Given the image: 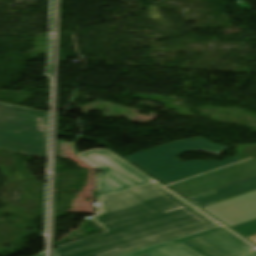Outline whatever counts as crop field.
Here are the masks:
<instances>
[{
    "mask_svg": "<svg viewBox=\"0 0 256 256\" xmlns=\"http://www.w3.org/2000/svg\"><path fill=\"white\" fill-rule=\"evenodd\" d=\"M227 147L213 144L202 138L176 142L143 152L124 156L152 176L167 184L201 172H205L226 164L239 161L230 158L217 161H187L181 162L176 158L184 152L203 151L218 155Z\"/></svg>",
    "mask_w": 256,
    "mask_h": 256,
    "instance_id": "2",
    "label": "crop field"
},
{
    "mask_svg": "<svg viewBox=\"0 0 256 256\" xmlns=\"http://www.w3.org/2000/svg\"><path fill=\"white\" fill-rule=\"evenodd\" d=\"M256 158V157H255Z\"/></svg>",
    "mask_w": 256,
    "mask_h": 256,
    "instance_id": "13",
    "label": "crop field"
},
{
    "mask_svg": "<svg viewBox=\"0 0 256 256\" xmlns=\"http://www.w3.org/2000/svg\"><path fill=\"white\" fill-rule=\"evenodd\" d=\"M213 256L211 253L188 239L179 237L119 256Z\"/></svg>",
    "mask_w": 256,
    "mask_h": 256,
    "instance_id": "7",
    "label": "crop field"
},
{
    "mask_svg": "<svg viewBox=\"0 0 256 256\" xmlns=\"http://www.w3.org/2000/svg\"><path fill=\"white\" fill-rule=\"evenodd\" d=\"M256 175V159H249L231 166L215 170L199 177L169 186L187 198L192 195Z\"/></svg>",
    "mask_w": 256,
    "mask_h": 256,
    "instance_id": "4",
    "label": "crop field"
},
{
    "mask_svg": "<svg viewBox=\"0 0 256 256\" xmlns=\"http://www.w3.org/2000/svg\"><path fill=\"white\" fill-rule=\"evenodd\" d=\"M201 209L229 227L256 219V190Z\"/></svg>",
    "mask_w": 256,
    "mask_h": 256,
    "instance_id": "6",
    "label": "crop field"
},
{
    "mask_svg": "<svg viewBox=\"0 0 256 256\" xmlns=\"http://www.w3.org/2000/svg\"><path fill=\"white\" fill-rule=\"evenodd\" d=\"M186 236L215 256H256L255 248L221 226Z\"/></svg>",
    "mask_w": 256,
    "mask_h": 256,
    "instance_id": "5",
    "label": "crop field"
},
{
    "mask_svg": "<svg viewBox=\"0 0 256 256\" xmlns=\"http://www.w3.org/2000/svg\"><path fill=\"white\" fill-rule=\"evenodd\" d=\"M78 156L102 172L93 221L106 232L59 246L54 256H112L218 225L108 150Z\"/></svg>",
    "mask_w": 256,
    "mask_h": 256,
    "instance_id": "1",
    "label": "crop field"
},
{
    "mask_svg": "<svg viewBox=\"0 0 256 256\" xmlns=\"http://www.w3.org/2000/svg\"><path fill=\"white\" fill-rule=\"evenodd\" d=\"M35 256H45V252H41V253H39V254H37Z\"/></svg>",
    "mask_w": 256,
    "mask_h": 256,
    "instance_id": "12",
    "label": "crop field"
},
{
    "mask_svg": "<svg viewBox=\"0 0 256 256\" xmlns=\"http://www.w3.org/2000/svg\"><path fill=\"white\" fill-rule=\"evenodd\" d=\"M47 113L0 103V148L47 158Z\"/></svg>",
    "mask_w": 256,
    "mask_h": 256,
    "instance_id": "3",
    "label": "crop field"
},
{
    "mask_svg": "<svg viewBox=\"0 0 256 256\" xmlns=\"http://www.w3.org/2000/svg\"><path fill=\"white\" fill-rule=\"evenodd\" d=\"M256 155V144L236 147V156L240 159H247Z\"/></svg>",
    "mask_w": 256,
    "mask_h": 256,
    "instance_id": "10",
    "label": "crop field"
},
{
    "mask_svg": "<svg viewBox=\"0 0 256 256\" xmlns=\"http://www.w3.org/2000/svg\"><path fill=\"white\" fill-rule=\"evenodd\" d=\"M256 189V176L234 182L195 196L187 198L189 201L202 207L233 196H237Z\"/></svg>",
    "mask_w": 256,
    "mask_h": 256,
    "instance_id": "8",
    "label": "crop field"
},
{
    "mask_svg": "<svg viewBox=\"0 0 256 256\" xmlns=\"http://www.w3.org/2000/svg\"><path fill=\"white\" fill-rule=\"evenodd\" d=\"M248 240H250L251 242L255 243L256 244V234L255 235H252V236H249V237H246Z\"/></svg>",
    "mask_w": 256,
    "mask_h": 256,
    "instance_id": "11",
    "label": "crop field"
},
{
    "mask_svg": "<svg viewBox=\"0 0 256 256\" xmlns=\"http://www.w3.org/2000/svg\"><path fill=\"white\" fill-rule=\"evenodd\" d=\"M233 230L246 237L256 233V220L231 227Z\"/></svg>",
    "mask_w": 256,
    "mask_h": 256,
    "instance_id": "9",
    "label": "crop field"
}]
</instances>
